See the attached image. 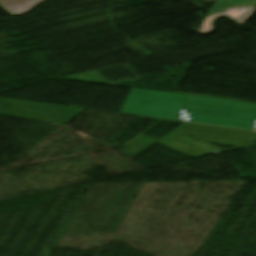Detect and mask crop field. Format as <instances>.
Segmentation results:
<instances>
[{
	"instance_id": "obj_1",
	"label": "crop field",
	"mask_w": 256,
	"mask_h": 256,
	"mask_svg": "<svg viewBox=\"0 0 256 256\" xmlns=\"http://www.w3.org/2000/svg\"><path fill=\"white\" fill-rule=\"evenodd\" d=\"M186 121L256 130V105L187 95Z\"/></svg>"
},
{
	"instance_id": "obj_2",
	"label": "crop field",
	"mask_w": 256,
	"mask_h": 256,
	"mask_svg": "<svg viewBox=\"0 0 256 256\" xmlns=\"http://www.w3.org/2000/svg\"><path fill=\"white\" fill-rule=\"evenodd\" d=\"M121 113L184 121V95L132 89Z\"/></svg>"
},
{
	"instance_id": "obj_3",
	"label": "crop field",
	"mask_w": 256,
	"mask_h": 256,
	"mask_svg": "<svg viewBox=\"0 0 256 256\" xmlns=\"http://www.w3.org/2000/svg\"><path fill=\"white\" fill-rule=\"evenodd\" d=\"M160 144L169 147L175 151L181 152L183 154L192 156H200L208 153H212V151L217 150L222 151L220 149L181 137L177 135H170L166 140L161 142Z\"/></svg>"
},
{
	"instance_id": "obj_4",
	"label": "crop field",
	"mask_w": 256,
	"mask_h": 256,
	"mask_svg": "<svg viewBox=\"0 0 256 256\" xmlns=\"http://www.w3.org/2000/svg\"><path fill=\"white\" fill-rule=\"evenodd\" d=\"M255 8H256V0H235L226 13L206 18L205 23L199 32L207 33L210 30H212L213 26L211 23L216 17L221 15H226L236 20L238 23L242 25L243 22L248 18V16L253 12ZM242 9L245 11L240 12Z\"/></svg>"
},
{
	"instance_id": "obj_5",
	"label": "crop field",
	"mask_w": 256,
	"mask_h": 256,
	"mask_svg": "<svg viewBox=\"0 0 256 256\" xmlns=\"http://www.w3.org/2000/svg\"><path fill=\"white\" fill-rule=\"evenodd\" d=\"M45 0H0V6L13 16L29 12L38 3Z\"/></svg>"
},
{
	"instance_id": "obj_6",
	"label": "crop field",
	"mask_w": 256,
	"mask_h": 256,
	"mask_svg": "<svg viewBox=\"0 0 256 256\" xmlns=\"http://www.w3.org/2000/svg\"><path fill=\"white\" fill-rule=\"evenodd\" d=\"M234 0H218L212 8L208 11L207 15L218 14L226 11Z\"/></svg>"
},
{
	"instance_id": "obj_7",
	"label": "crop field",
	"mask_w": 256,
	"mask_h": 256,
	"mask_svg": "<svg viewBox=\"0 0 256 256\" xmlns=\"http://www.w3.org/2000/svg\"><path fill=\"white\" fill-rule=\"evenodd\" d=\"M217 0H204V3L205 4H210V3H214L216 2Z\"/></svg>"
}]
</instances>
